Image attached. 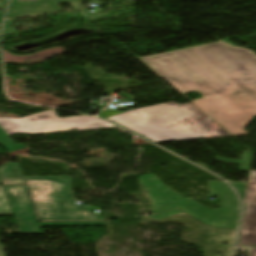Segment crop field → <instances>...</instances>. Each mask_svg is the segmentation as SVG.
Instances as JSON below:
<instances>
[{
  "mask_svg": "<svg viewBox=\"0 0 256 256\" xmlns=\"http://www.w3.org/2000/svg\"><path fill=\"white\" fill-rule=\"evenodd\" d=\"M12 164L16 166V169H14ZM0 176L3 184L25 183L22 172L17 163L10 162L0 168Z\"/></svg>",
  "mask_w": 256,
  "mask_h": 256,
  "instance_id": "crop-field-9",
  "label": "crop field"
},
{
  "mask_svg": "<svg viewBox=\"0 0 256 256\" xmlns=\"http://www.w3.org/2000/svg\"><path fill=\"white\" fill-rule=\"evenodd\" d=\"M99 117L153 142L231 136L192 103L170 102L125 112L106 110Z\"/></svg>",
  "mask_w": 256,
  "mask_h": 256,
  "instance_id": "crop-field-2",
  "label": "crop field"
},
{
  "mask_svg": "<svg viewBox=\"0 0 256 256\" xmlns=\"http://www.w3.org/2000/svg\"><path fill=\"white\" fill-rule=\"evenodd\" d=\"M113 126L109 123L87 117L59 118L54 109L20 119L0 118V144L7 152L25 148L14 143L8 135L21 133H51L67 130H85Z\"/></svg>",
  "mask_w": 256,
  "mask_h": 256,
  "instance_id": "crop-field-5",
  "label": "crop field"
},
{
  "mask_svg": "<svg viewBox=\"0 0 256 256\" xmlns=\"http://www.w3.org/2000/svg\"><path fill=\"white\" fill-rule=\"evenodd\" d=\"M70 3L73 10L81 9V0H37L34 2H21L12 0L7 18L46 14L63 11L59 4Z\"/></svg>",
  "mask_w": 256,
  "mask_h": 256,
  "instance_id": "crop-field-7",
  "label": "crop field"
},
{
  "mask_svg": "<svg viewBox=\"0 0 256 256\" xmlns=\"http://www.w3.org/2000/svg\"><path fill=\"white\" fill-rule=\"evenodd\" d=\"M139 179L140 184L147 189L152 200L153 214L178 207L210 226L236 229L239 205L232 190L223 182H210L214 197L222 198L220 211H217L207 209L192 199L181 198L153 174L141 176Z\"/></svg>",
  "mask_w": 256,
  "mask_h": 256,
  "instance_id": "crop-field-3",
  "label": "crop field"
},
{
  "mask_svg": "<svg viewBox=\"0 0 256 256\" xmlns=\"http://www.w3.org/2000/svg\"><path fill=\"white\" fill-rule=\"evenodd\" d=\"M229 183L234 187V189L237 191V193L239 194V196L243 201L244 191H245L247 182H229Z\"/></svg>",
  "mask_w": 256,
  "mask_h": 256,
  "instance_id": "crop-field-14",
  "label": "crop field"
},
{
  "mask_svg": "<svg viewBox=\"0 0 256 256\" xmlns=\"http://www.w3.org/2000/svg\"><path fill=\"white\" fill-rule=\"evenodd\" d=\"M3 13H4V11H0V23L2 22Z\"/></svg>",
  "mask_w": 256,
  "mask_h": 256,
  "instance_id": "crop-field-20",
  "label": "crop field"
},
{
  "mask_svg": "<svg viewBox=\"0 0 256 256\" xmlns=\"http://www.w3.org/2000/svg\"><path fill=\"white\" fill-rule=\"evenodd\" d=\"M245 202H254L256 203V182H249Z\"/></svg>",
  "mask_w": 256,
  "mask_h": 256,
  "instance_id": "crop-field-13",
  "label": "crop field"
},
{
  "mask_svg": "<svg viewBox=\"0 0 256 256\" xmlns=\"http://www.w3.org/2000/svg\"><path fill=\"white\" fill-rule=\"evenodd\" d=\"M253 152H243L242 160L236 161L226 158L217 157L220 162H231L240 165V170L249 171L251 160H252Z\"/></svg>",
  "mask_w": 256,
  "mask_h": 256,
  "instance_id": "crop-field-11",
  "label": "crop field"
},
{
  "mask_svg": "<svg viewBox=\"0 0 256 256\" xmlns=\"http://www.w3.org/2000/svg\"><path fill=\"white\" fill-rule=\"evenodd\" d=\"M3 186L20 234L41 233L26 186Z\"/></svg>",
  "mask_w": 256,
  "mask_h": 256,
  "instance_id": "crop-field-6",
  "label": "crop field"
},
{
  "mask_svg": "<svg viewBox=\"0 0 256 256\" xmlns=\"http://www.w3.org/2000/svg\"><path fill=\"white\" fill-rule=\"evenodd\" d=\"M249 180H256V172L255 171H250Z\"/></svg>",
  "mask_w": 256,
  "mask_h": 256,
  "instance_id": "crop-field-17",
  "label": "crop field"
},
{
  "mask_svg": "<svg viewBox=\"0 0 256 256\" xmlns=\"http://www.w3.org/2000/svg\"><path fill=\"white\" fill-rule=\"evenodd\" d=\"M6 2H7V0H0V7H5Z\"/></svg>",
  "mask_w": 256,
  "mask_h": 256,
  "instance_id": "crop-field-18",
  "label": "crop field"
},
{
  "mask_svg": "<svg viewBox=\"0 0 256 256\" xmlns=\"http://www.w3.org/2000/svg\"><path fill=\"white\" fill-rule=\"evenodd\" d=\"M182 94L205 97L192 101L232 136L256 115V56L220 42L140 58Z\"/></svg>",
  "mask_w": 256,
  "mask_h": 256,
  "instance_id": "crop-field-1",
  "label": "crop field"
},
{
  "mask_svg": "<svg viewBox=\"0 0 256 256\" xmlns=\"http://www.w3.org/2000/svg\"><path fill=\"white\" fill-rule=\"evenodd\" d=\"M249 256H256V248H252V251Z\"/></svg>",
  "mask_w": 256,
  "mask_h": 256,
  "instance_id": "crop-field-19",
  "label": "crop field"
},
{
  "mask_svg": "<svg viewBox=\"0 0 256 256\" xmlns=\"http://www.w3.org/2000/svg\"><path fill=\"white\" fill-rule=\"evenodd\" d=\"M13 23V20L6 21L2 34H13V33H19L15 28H13L11 25Z\"/></svg>",
  "mask_w": 256,
  "mask_h": 256,
  "instance_id": "crop-field-15",
  "label": "crop field"
},
{
  "mask_svg": "<svg viewBox=\"0 0 256 256\" xmlns=\"http://www.w3.org/2000/svg\"><path fill=\"white\" fill-rule=\"evenodd\" d=\"M41 227L49 226H105V222H39Z\"/></svg>",
  "mask_w": 256,
  "mask_h": 256,
  "instance_id": "crop-field-10",
  "label": "crop field"
},
{
  "mask_svg": "<svg viewBox=\"0 0 256 256\" xmlns=\"http://www.w3.org/2000/svg\"><path fill=\"white\" fill-rule=\"evenodd\" d=\"M227 44H229V45H235V44H233V43H231V42H229V41H225ZM236 46V45H235Z\"/></svg>",
  "mask_w": 256,
  "mask_h": 256,
  "instance_id": "crop-field-21",
  "label": "crop field"
},
{
  "mask_svg": "<svg viewBox=\"0 0 256 256\" xmlns=\"http://www.w3.org/2000/svg\"><path fill=\"white\" fill-rule=\"evenodd\" d=\"M24 178L40 221L105 220V216L74 203L70 176Z\"/></svg>",
  "mask_w": 256,
  "mask_h": 256,
  "instance_id": "crop-field-4",
  "label": "crop field"
},
{
  "mask_svg": "<svg viewBox=\"0 0 256 256\" xmlns=\"http://www.w3.org/2000/svg\"><path fill=\"white\" fill-rule=\"evenodd\" d=\"M245 211L238 246L256 245V204L244 203Z\"/></svg>",
  "mask_w": 256,
  "mask_h": 256,
  "instance_id": "crop-field-8",
  "label": "crop field"
},
{
  "mask_svg": "<svg viewBox=\"0 0 256 256\" xmlns=\"http://www.w3.org/2000/svg\"><path fill=\"white\" fill-rule=\"evenodd\" d=\"M12 214L5 197L3 186L0 185V215Z\"/></svg>",
  "mask_w": 256,
  "mask_h": 256,
  "instance_id": "crop-field-12",
  "label": "crop field"
},
{
  "mask_svg": "<svg viewBox=\"0 0 256 256\" xmlns=\"http://www.w3.org/2000/svg\"><path fill=\"white\" fill-rule=\"evenodd\" d=\"M178 213H182L181 210L176 209V210H172V211H168V212H164V213H160V214H156V215H152L151 217L154 219H162L174 214H178Z\"/></svg>",
  "mask_w": 256,
  "mask_h": 256,
  "instance_id": "crop-field-16",
  "label": "crop field"
}]
</instances>
